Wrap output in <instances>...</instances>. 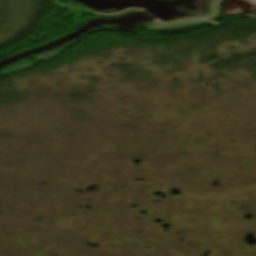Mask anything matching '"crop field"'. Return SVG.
I'll list each match as a JSON object with an SVG mask.
<instances>
[{"mask_svg": "<svg viewBox=\"0 0 256 256\" xmlns=\"http://www.w3.org/2000/svg\"><path fill=\"white\" fill-rule=\"evenodd\" d=\"M77 40H79V39H76V40H73V41H71V42H68V43H66V44H64V45H62V46H60V47H57V48H55V49H53V50L44 52V53H42V54L51 57V56H53V55H55L56 53L60 52V51L63 50L65 47H67L68 45L72 44L73 42H75V41H77Z\"/></svg>", "mask_w": 256, "mask_h": 256, "instance_id": "obj_3", "label": "crop field"}, {"mask_svg": "<svg viewBox=\"0 0 256 256\" xmlns=\"http://www.w3.org/2000/svg\"><path fill=\"white\" fill-rule=\"evenodd\" d=\"M95 28H97V27H94V28L90 29V30H89V31H87V32L89 33L91 30H93V29H95Z\"/></svg>", "mask_w": 256, "mask_h": 256, "instance_id": "obj_4", "label": "crop field"}, {"mask_svg": "<svg viewBox=\"0 0 256 256\" xmlns=\"http://www.w3.org/2000/svg\"><path fill=\"white\" fill-rule=\"evenodd\" d=\"M224 14L237 15L256 10V0H228Z\"/></svg>", "mask_w": 256, "mask_h": 256, "instance_id": "obj_1", "label": "crop field"}, {"mask_svg": "<svg viewBox=\"0 0 256 256\" xmlns=\"http://www.w3.org/2000/svg\"><path fill=\"white\" fill-rule=\"evenodd\" d=\"M32 64H35L34 62H32L31 60L25 58L19 62H16V63H13L3 69L0 70V75H3V74H7V73H11V72H14V71H17L19 69H22V68H25V67H28Z\"/></svg>", "mask_w": 256, "mask_h": 256, "instance_id": "obj_2", "label": "crop field"}, {"mask_svg": "<svg viewBox=\"0 0 256 256\" xmlns=\"http://www.w3.org/2000/svg\"><path fill=\"white\" fill-rule=\"evenodd\" d=\"M252 14H254V15L256 16V12H254V13H252Z\"/></svg>", "mask_w": 256, "mask_h": 256, "instance_id": "obj_5", "label": "crop field"}]
</instances>
